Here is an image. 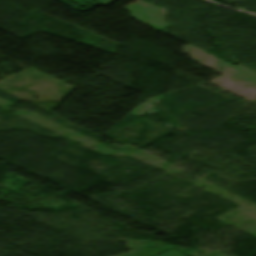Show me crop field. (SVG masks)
Wrapping results in <instances>:
<instances>
[{"label":"crop field","mask_w":256,"mask_h":256,"mask_svg":"<svg viewBox=\"0 0 256 256\" xmlns=\"http://www.w3.org/2000/svg\"><path fill=\"white\" fill-rule=\"evenodd\" d=\"M159 256H184V255H182V254H180L179 252L173 250V251L164 253V254L159 255Z\"/></svg>","instance_id":"obj_1"},{"label":"crop field","mask_w":256,"mask_h":256,"mask_svg":"<svg viewBox=\"0 0 256 256\" xmlns=\"http://www.w3.org/2000/svg\"><path fill=\"white\" fill-rule=\"evenodd\" d=\"M93 1H96V2H98V3H100V4L104 5V6H106V5L112 3V2L115 1V0H93Z\"/></svg>","instance_id":"obj_2"}]
</instances>
